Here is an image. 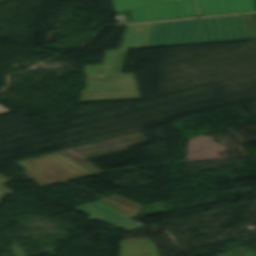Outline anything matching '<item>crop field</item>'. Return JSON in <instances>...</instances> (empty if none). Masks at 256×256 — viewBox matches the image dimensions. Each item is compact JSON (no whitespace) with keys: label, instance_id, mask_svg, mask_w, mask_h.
Segmentation results:
<instances>
[{"label":"crop field","instance_id":"8a807250","mask_svg":"<svg viewBox=\"0 0 256 256\" xmlns=\"http://www.w3.org/2000/svg\"><path fill=\"white\" fill-rule=\"evenodd\" d=\"M151 24L128 26L120 51H106L103 65L86 66L80 102L140 99L133 74H120L126 49L145 48Z\"/></svg>","mask_w":256,"mask_h":256},{"label":"crop field","instance_id":"ac0d7876","mask_svg":"<svg viewBox=\"0 0 256 256\" xmlns=\"http://www.w3.org/2000/svg\"><path fill=\"white\" fill-rule=\"evenodd\" d=\"M16 164L28 170L24 175L41 186L92 174L59 153Z\"/></svg>","mask_w":256,"mask_h":256},{"label":"crop field","instance_id":"34b2d1b8","mask_svg":"<svg viewBox=\"0 0 256 256\" xmlns=\"http://www.w3.org/2000/svg\"><path fill=\"white\" fill-rule=\"evenodd\" d=\"M206 43L200 19L159 23L151 27L146 48Z\"/></svg>","mask_w":256,"mask_h":256},{"label":"crop field","instance_id":"412701ff","mask_svg":"<svg viewBox=\"0 0 256 256\" xmlns=\"http://www.w3.org/2000/svg\"><path fill=\"white\" fill-rule=\"evenodd\" d=\"M135 23L199 16L195 0H180L132 10Z\"/></svg>","mask_w":256,"mask_h":256},{"label":"crop field","instance_id":"f4fd0767","mask_svg":"<svg viewBox=\"0 0 256 256\" xmlns=\"http://www.w3.org/2000/svg\"><path fill=\"white\" fill-rule=\"evenodd\" d=\"M201 16L256 11L255 0H197Z\"/></svg>","mask_w":256,"mask_h":256},{"label":"crop field","instance_id":"dd49c442","mask_svg":"<svg viewBox=\"0 0 256 256\" xmlns=\"http://www.w3.org/2000/svg\"><path fill=\"white\" fill-rule=\"evenodd\" d=\"M201 21L207 43L238 40L233 16Z\"/></svg>","mask_w":256,"mask_h":256},{"label":"crop field","instance_id":"e52e79f7","mask_svg":"<svg viewBox=\"0 0 256 256\" xmlns=\"http://www.w3.org/2000/svg\"><path fill=\"white\" fill-rule=\"evenodd\" d=\"M120 256H160L151 239L120 242Z\"/></svg>","mask_w":256,"mask_h":256},{"label":"crop field","instance_id":"d8731c3e","mask_svg":"<svg viewBox=\"0 0 256 256\" xmlns=\"http://www.w3.org/2000/svg\"><path fill=\"white\" fill-rule=\"evenodd\" d=\"M87 205L95 207L97 209H100L102 211H105V212H108V213L112 214L110 216L103 217V218H100V219H102L104 221H107L109 223H112V224H114L116 226H119L121 228H124L128 231L144 228V226L129 220L130 218H132L134 216H131V215L125 213V212H121L117 209L109 207V206H107L105 204H102L98 201L92 202V203L87 204Z\"/></svg>","mask_w":256,"mask_h":256},{"label":"crop field","instance_id":"5a996713","mask_svg":"<svg viewBox=\"0 0 256 256\" xmlns=\"http://www.w3.org/2000/svg\"><path fill=\"white\" fill-rule=\"evenodd\" d=\"M175 0H114L116 11L134 9L152 4L164 3Z\"/></svg>","mask_w":256,"mask_h":256},{"label":"crop field","instance_id":"3316defc","mask_svg":"<svg viewBox=\"0 0 256 256\" xmlns=\"http://www.w3.org/2000/svg\"><path fill=\"white\" fill-rule=\"evenodd\" d=\"M81 213H84V214H87L89 216V220L87 221H92V220H96L100 217H103V216H107V215H110L108 213H105V212H102L100 210H97L95 208H92V207H89L87 205H84V206H80V207H77V208H73Z\"/></svg>","mask_w":256,"mask_h":256},{"label":"crop field","instance_id":"28ad6ade","mask_svg":"<svg viewBox=\"0 0 256 256\" xmlns=\"http://www.w3.org/2000/svg\"><path fill=\"white\" fill-rule=\"evenodd\" d=\"M106 198L111 199V200H113L115 202H118L120 204H123L125 206H129L130 208H133V209H136V210H139V211H141L144 208L143 206L138 205L139 203L136 204V203H134V202L118 195V194H115V195H112V196H109V197H106Z\"/></svg>","mask_w":256,"mask_h":256},{"label":"crop field","instance_id":"d1516ede","mask_svg":"<svg viewBox=\"0 0 256 256\" xmlns=\"http://www.w3.org/2000/svg\"><path fill=\"white\" fill-rule=\"evenodd\" d=\"M9 179L0 174V202L5 197V195L9 192L3 184L8 183Z\"/></svg>","mask_w":256,"mask_h":256},{"label":"crop field","instance_id":"22f410ed","mask_svg":"<svg viewBox=\"0 0 256 256\" xmlns=\"http://www.w3.org/2000/svg\"><path fill=\"white\" fill-rule=\"evenodd\" d=\"M98 201H100V202H102V203H105V204H107V205H110V206H112V207H114V208H117V209H119V210H121V211L128 212V213H130V214H132V215L136 213L135 211L126 209V208H124V207H122V206H119V205H117V204H114V203H112V202H110V201H107V200H105V199L98 200Z\"/></svg>","mask_w":256,"mask_h":256},{"label":"crop field","instance_id":"cbeb9de0","mask_svg":"<svg viewBox=\"0 0 256 256\" xmlns=\"http://www.w3.org/2000/svg\"><path fill=\"white\" fill-rule=\"evenodd\" d=\"M9 112L6 108L0 105V113Z\"/></svg>","mask_w":256,"mask_h":256}]
</instances>
